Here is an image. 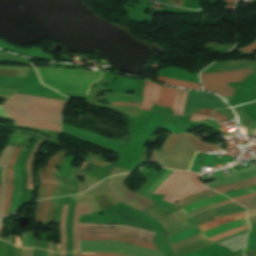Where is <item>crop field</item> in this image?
<instances>
[{"instance_id": "1", "label": "crop field", "mask_w": 256, "mask_h": 256, "mask_svg": "<svg viewBox=\"0 0 256 256\" xmlns=\"http://www.w3.org/2000/svg\"><path fill=\"white\" fill-rule=\"evenodd\" d=\"M67 102L15 94L0 109L14 124L60 131L59 116Z\"/></svg>"}, {"instance_id": "2", "label": "crop field", "mask_w": 256, "mask_h": 256, "mask_svg": "<svg viewBox=\"0 0 256 256\" xmlns=\"http://www.w3.org/2000/svg\"><path fill=\"white\" fill-rule=\"evenodd\" d=\"M42 83L56 91L88 94L104 73L34 66Z\"/></svg>"}, {"instance_id": "3", "label": "crop field", "mask_w": 256, "mask_h": 256, "mask_svg": "<svg viewBox=\"0 0 256 256\" xmlns=\"http://www.w3.org/2000/svg\"><path fill=\"white\" fill-rule=\"evenodd\" d=\"M199 176L192 172L175 171L152 194H166L163 200L174 204L189 195L208 190L198 178Z\"/></svg>"}, {"instance_id": "4", "label": "crop field", "mask_w": 256, "mask_h": 256, "mask_svg": "<svg viewBox=\"0 0 256 256\" xmlns=\"http://www.w3.org/2000/svg\"><path fill=\"white\" fill-rule=\"evenodd\" d=\"M254 71L250 69L229 71V72H217L206 73L201 75V79L205 90L213 91L221 96L232 95L234 89L227 83L242 81L243 77Z\"/></svg>"}, {"instance_id": "5", "label": "crop field", "mask_w": 256, "mask_h": 256, "mask_svg": "<svg viewBox=\"0 0 256 256\" xmlns=\"http://www.w3.org/2000/svg\"><path fill=\"white\" fill-rule=\"evenodd\" d=\"M80 244H114V245H120L144 252H148L154 255H159L162 256V254L158 251L150 250L147 248L123 243V242H115V241H80ZM79 252H99V253H118L124 256H154L151 254L123 248V247H118V246H113V245H80L79 247Z\"/></svg>"}, {"instance_id": "6", "label": "crop field", "mask_w": 256, "mask_h": 256, "mask_svg": "<svg viewBox=\"0 0 256 256\" xmlns=\"http://www.w3.org/2000/svg\"><path fill=\"white\" fill-rule=\"evenodd\" d=\"M79 236H116L153 244L152 236L125 229L79 228Z\"/></svg>"}, {"instance_id": "7", "label": "crop field", "mask_w": 256, "mask_h": 256, "mask_svg": "<svg viewBox=\"0 0 256 256\" xmlns=\"http://www.w3.org/2000/svg\"><path fill=\"white\" fill-rule=\"evenodd\" d=\"M190 107L199 108L200 114L209 116L217 108H228L223 101H198V92L194 91L188 92L184 115L189 114Z\"/></svg>"}, {"instance_id": "8", "label": "crop field", "mask_w": 256, "mask_h": 256, "mask_svg": "<svg viewBox=\"0 0 256 256\" xmlns=\"http://www.w3.org/2000/svg\"><path fill=\"white\" fill-rule=\"evenodd\" d=\"M225 199H228L224 196H222L221 194L219 195H216L214 197H211V198H208V199H204V200H201V201H197V202H194L184 208H182L186 213L188 212H191L197 208H200V207H203V206H206V205H209V204H213V203H216V202H219V201H222V200H225ZM228 202H232L231 199H228V200H225V201H222V202H219V203H216V204H213V205H210V206H206V207H203V208H200V209H197L191 213H188L190 216L198 213V212H202V211H205L209 208H212V207H216V206H219V205H222V204H225V203H228Z\"/></svg>"}, {"instance_id": "9", "label": "crop field", "mask_w": 256, "mask_h": 256, "mask_svg": "<svg viewBox=\"0 0 256 256\" xmlns=\"http://www.w3.org/2000/svg\"><path fill=\"white\" fill-rule=\"evenodd\" d=\"M160 86L145 81V87L143 91V102L141 104V109L143 110H150L153 102H158L159 93H160Z\"/></svg>"}, {"instance_id": "10", "label": "crop field", "mask_w": 256, "mask_h": 256, "mask_svg": "<svg viewBox=\"0 0 256 256\" xmlns=\"http://www.w3.org/2000/svg\"><path fill=\"white\" fill-rule=\"evenodd\" d=\"M79 222H92V223H125L134 225L136 227L144 228L147 230L153 231L152 228L143 225L138 222L130 221V220H124V219H117V218H110V217H98V216H91V214L88 215H82L80 216Z\"/></svg>"}, {"instance_id": "11", "label": "crop field", "mask_w": 256, "mask_h": 256, "mask_svg": "<svg viewBox=\"0 0 256 256\" xmlns=\"http://www.w3.org/2000/svg\"><path fill=\"white\" fill-rule=\"evenodd\" d=\"M21 148L16 150L15 153L12 155L9 166L7 169V190H6V204H5V213L4 216L9 215V206H10V201H11V196H12V189H13V178H12V172H13V167L15 160L20 152Z\"/></svg>"}, {"instance_id": "12", "label": "crop field", "mask_w": 256, "mask_h": 256, "mask_svg": "<svg viewBox=\"0 0 256 256\" xmlns=\"http://www.w3.org/2000/svg\"><path fill=\"white\" fill-rule=\"evenodd\" d=\"M15 151L14 148H11L3 162H2V165H1V188H0V218L3 217V212H4V203H5V189H6V168H7V164H8V161L11 157V155L13 154V152Z\"/></svg>"}, {"instance_id": "13", "label": "crop field", "mask_w": 256, "mask_h": 256, "mask_svg": "<svg viewBox=\"0 0 256 256\" xmlns=\"http://www.w3.org/2000/svg\"><path fill=\"white\" fill-rule=\"evenodd\" d=\"M24 151H25V149L22 148V150L17 158V161L15 163L14 172H18V163H19ZM13 177H14V190H13V196H12V201H11V206H10V215L14 213V211L16 210V207H17L19 182H20L19 173H14Z\"/></svg>"}, {"instance_id": "14", "label": "crop field", "mask_w": 256, "mask_h": 256, "mask_svg": "<svg viewBox=\"0 0 256 256\" xmlns=\"http://www.w3.org/2000/svg\"><path fill=\"white\" fill-rule=\"evenodd\" d=\"M245 213H246V211L240 212V213H237V214H233V215H230V216L218 218V219L212 220L210 222H207V223L202 224V225L197 226V227L203 232V231H206V230H208L212 227L219 226V225L225 224V223L233 221V220L246 218Z\"/></svg>"}, {"instance_id": "15", "label": "crop field", "mask_w": 256, "mask_h": 256, "mask_svg": "<svg viewBox=\"0 0 256 256\" xmlns=\"http://www.w3.org/2000/svg\"><path fill=\"white\" fill-rule=\"evenodd\" d=\"M76 195L72 196L66 220L67 252H72V219L75 208Z\"/></svg>"}, {"instance_id": "16", "label": "crop field", "mask_w": 256, "mask_h": 256, "mask_svg": "<svg viewBox=\"0 0 256 256\" xmlns=\"http://www.w3.org/2000/svg\"><path fill=\"white\" fill-rule=\"evenodd\" d=\"M247 224L248 223H247L246 219L237 220V221H234V222H231V223L219 226V227H217L215 229L206 231V232L203 233V235L207 239L209 237L215 236V235L220 234V233H222L224 231H227L229 229L240 227V226L247 225Z\"/></svg>"}, {"instance_id": "17", "label": "crop field", "mask_w": 256, "mask_h": 256, "mask_svg": "<svg viewBox=\"0 0 256 256\" xmlns=\"http://www.w3.org/2000/svg\"><path fill=\"white\" fill-rule=\"evenodd\" d=\"M39 140V138L36 139V142L27 150V152L25 153V155L22 158L21 164L19 166V169L21 171V183H20V192H19V200H18V207L22 206L23 203V198H24V192H25V182H26V174H25V162H26V158L29 154V152L31 151V149L33 148V146L37 143V141Z\"/></svg>"}, {"instance_id": "18", "label": "crop field", "mask_w": 256, "mask_h": 256, "mask_svg": "<svg viewBox=\"0 0 256 256\" xmlns=\"http://www.w3.org/2000/svg\"><path fill=\"white\" fill-rule=\"evenodd\" d=\"M188 91L176 90V94L173 101L172 110H175L176 115H183V109L185 104V99Z\"/></svg>"}, {"instance_id": "19", "label": "crop field", "mask_w": 256, "mask_h": 256, "mask_svg": "<svg viewBox=\"0 0 256 256\" xmlns=\"http://www.w3.org/2000/svg\"><path fill=\"white\" fill-rule=\"evenodd\" d=\"M174 92H175V88L162 86L158 105L170 108L171 103H172V99H173V96H174Z\"/></svg>"}, {"instance_id": "20", "label": "crop field", "mask_w": 256, "mask_h": 256, "mask_svg": "<svg viewBox=\"0 0 256 256\" xmlns=\"http://www.w3.org/2000/svg\"><path fill=\"white\" fill-rule=\"evenodd\" d=\"M60 151L55 154L54 156H52L46 166H45V177H46V180H47V185H46V195H45V198H48V197H51V193H52V180H51V177H50V169L51 167L53 166V164L55 163L58 155H59Z\"/></svg>"}, {"instance_id": "21", "label": "crop field", "mask_w": 256, "mask_h": 256, "mask_svg": "<svg viewBox=\"0 0 256 256\" xmlns=\"http://www.w3.org/2000/svg\"><path fill=\"white\" fill-rule=\"evenodd\" d=\"M254 184H256V177L245 180V181H241L238 183H233V184H229V185H225V186L216 187L212 190L222 193V192H226V191H230V190H234V189H238V188H242V187H246V186H250V185H254Z\"/></svg>"}, {"instance_id": "22", "label": "crop field", "mask_w": 256, "mask_h": 256, "mask_svg": "<svg viewBox=\"0 0 256 256\" xmlns=\"http://www.w3.org/2000/svg\"><path fill=\"white\" fill-rule=\"evenodd\" d=\"M178 137H183V138H187L189 139V142L198 150L205 152L206 150L198 147L197 145H195L191 139V134L189 133H183V134H178V135H174L171 133V135L168 137V139L163 143V145L160 147V149L162 150H169L170 147L173 145V143L176 141V139Z\"/></svg>"}, {"instance_id": "23", "label": "crop field", "mask_w": 256, "mask_h": 256, "mask_svg": "<svg viewBox=\"0 0 256 256\" xmlns=\"http://www.w3.org/2000/svg\"><path fill=\"white\" fill-rule=\"evenodd\" d=\"M43 140H39L38 143L34 146L33 150L31 151L27 163H26V173H27V188L32 189V181H33V176H32V160L33 157L38 150L39 146L42 144Z\"/></svg>"}, {"instance_id": "24", "label": "crop field", "mask_w": 256, "mask_h": 256, "mask_svg": "<svg viewBox=\"0 0 256 256\" xmlns=\"http://www.w3.org/2000/svg\"><path fill=\"white\" fill-rule=\"evenodd\" d=\"M255 188H256V185L250 186V187H246V188H242V189H238V190H234V191H230V192H226V193H222V194H225V195H227V196H230V195H234V194L246 192V191H248V190L255 189ZM253 192H256V189H255V190H251V191L246 192V193L238 194V195H235V196H230V197H231V198L240 197V196H244V195L251 194V193H253ZM252 196H256V193L251 194V195H248V196L240 197V198H235V199H233V200L236 201V200H240V199H244V198H248V197H252Z\"/></svg>"}, {"instance_id": "25", "label": "crop field", "mask_w": 256, "mask_h": 256, "mask_svg": "<svg viewBox=\"0 0 256 256\" xmlns=\"http://www.w3.org/2000/svg\"><path fill=\"white\" fill-rule=\"evenodd\" d=\"M79 227H117V228H125V229H129V230L141 232V233L152 235V236L154 235V232H150V231H146V230H142V229H138L135 227L126 226V225H101V224L79 223Z\"/></svg>"}, {"instance_id": "26", "label": "crop field", "mask_w": 256, "mask_h": 256, "mask_svg": "<svg viewBox=\"0 0 256 256\" xmlns=\"http://www.w3.org/2000/svg\"><path fill=\"white\" fill-rule=\"evenodd\" d=\"M107 239H111V240H115V241L128 242V243H132V244H136V245H139V246H143V247H147V248H150V249L157 250V248L155 246L148 245V244H143V243H139V242L123 239V238H116V237H80V240H107Z\"/></svg>"}, {"instance_id": "27", "label": "crop field", "mask_w": 256, "mask_h": 256, "mask_svg": "<svg viewBox=\"0 0 256 256\" xmlns=\"http://www.w3.org/2000/svg\"><path fill=\"white\" fill-rule=\"evenodd\" d=\"M156 80L164 82V83L176 85V86L201 89L200 85L197 84V83H191V82H185V81H180V80H174V79H169V78H164V77H159V76H157Z\"/></svg>"}, {"instance_id": "28", "label": "crop field", "mask_w": 256, "mask_h": 256, "mask_svg": "<svg viewBox=\"0 0 256 256\" xmlns=\"http://www.w3.org/2000/svg\"><path fill=\"white\" fill-rule=\"evenodd\" d=\"M248 228H249V225L244 226V227H240V228H237V229L229 230V231L224 232V233H222V234H220V235H217V236H215V237H212V238H210V239H208V240L216 241V240L225 238V237H227V236H230V235H232V234H234V233L247 230Z\"/></svg>"}, {"instance_id": "29", "label": "crop field", "mask_w": 256, "mask_h": 256, "mask_svg": "<svg viewBox=\"0 0 256 256\" xmlns=\"http://www.w3.org/2000/svg\"><path fill=\"white\" fill-rule=\"evenodd\" d=\"M236 202L247 207L248 210L256 208V197H252V198H248V199H244Z\"/></svg>"}, {"instance_id": "30", "label": "crop field", "mask_w": 256, "mask_h": 256, "mask_svg": "<svg viewBox=\"0 0 256 256\" xmlns=\"http://www.w3.org/2000/svg\"><path fill=\"white\" fill-rule=\"evenodd\" d=\"M213 175L215 176L216 180H217V179H221V178H225V175H224V173H223L221 170H220V171L213 172ZM229 179H233V177L230 176V177L225 178V179H221V180H217V181H214V182L207 183L206 185H207V186L213 185V184H216V183H218V182L226 181V180H229Z\"/></svg>"}, {"instance_id": "31", "label": "crop field", "mask_w": 256, "mask_h": 256, "mask_svg": "<svg viewBox=\"0 0 256 256\" xmlns=\"http://www.w3.org/2000/svg\"><path fill=\"white\" fill-rule=\"evenodd\" d=\"M40 177H41V184H40V190H39V199H43L45 195V177L43 169H39Z\"/></svg>"}, {"instance_id": "32", "label": "crop field", "mask_w": 256, "mask_h": 256, "mask_svg": "<svg viewBox=\"0 0 256 256\" xmlns=\"http://www.w3.org/2000/svg\"><path fill=\"white\" fill-rule=\"evenodd\" d=\"M49 200H50V199L45 200L44 206H43V210H42V219H41V222H42V224H44V225H46V223H47V211H48V207H49Z\"/></svg>"}, {"instance_id": "33", "label": "crop field", "mask_w": 256, "mask_h": 256, "mask_svg": "<svg viewBox=\"0 0 256 256\" xmlns=\"http://www.w3.org/2000/svg\"><path fill=\"white\" fill-rule=\"evenodd\" d=\"M52 180H53V193H52V197L58 196V190H59V185H58V180H57V176L55 174H52Z\"/></svg>"}, {"instance_id": "34", "label": "crop field", "mask_w": 256, "mask_h": 256, "mask_svg": "<svg viewBox=\"0 0 256 256\" xmlns=\"http://www.w3.org/2000/svg\"><path fill=\"white\" fill-rule=\"evenodd\" d=\"M56 200H57V198H54V199H52V202L50 201L51 202V207H50V211H49L48 225L53 223V215H54Z\"/></svg>"}, {"instance_id": "35", "label": "crop field", "mask_w": 256, "mask_h": 256, "mask_svg": "<svg viewBox=\"0 0 256 256\" xmlns=\"http://www.w3.org/2000/svg\"><path fill=\"white\" fill-rule=\"evenodd\" d=\"M192 138H193L195 144H197V145H199V146H201V147H203V148H205V149L219 150L218 148H216V147L213 146V145H208V144H206V143L201 142L200 140H198V139L195 138L194 136H192Z\"/></svg>"}, {"instance_id": "36", "label": "crop field", "mask_w": 256, "mask_h": 256, "mask_svg": "<svg viewBox=\"0 0 256 256\" xmlns=\"http://www.w3.org/2000/svg\"><path fill=\"white\" fill-rule=\"evenodd\" d=\"M239 50H241V51H243L247 54H250V53L256 51V41L254 43L246 46V47H243V48L239 49Z\"/></svg>"}, {"instance_id": "37", "label": "crop field", "mask_w": 256, "mask_h": 256, "mask_svg": "<svg viewBox=\"0 0 256 256\" xmlns=\"http://www.w3.org/2000/svg\"><path fill=\"white\" fill-rule=\"evenodd\" d=\"M44 200L38 202L37 209H36V223L39 224L41 218V210L43 206Z\"/></svg>"}, {"instance_id": "38", "label": "crop field", "mask_w": 256, "mask_h": 256, "mask_svg": "<svg viewBox=\"0 0 256 256\" xmlns=\"http://www.w3.org/2000/svg\"><path fill=\"white\" fill-rule=\"evenodd\" d=\"M78 256H121L118 254H92V253H78Z\"/></svg>"}, {"instance_id": "39", "label": "crop field", "mask_w": 256, "mask_h": 256, "mask_svg": "<svg viewBox=\"0 0 256 256\" xmlns=\"http://www.w3.org/2000/svg\"><path fill=\"white\" fill-rule=\"evenodd\" d=\"M66 153H67L66 151L62 150V152H61V154H60V156H59L57 162L55 163L54 167L60 165V163L62 162V160H63V158L65 157Z\"/></svg>"}, {"instance_id": "40", "label": "crop field", "mask_w": 256, "mask_h": 256, "mask_svg": "<svg viewBox=\"0 0 256 256\" xmlns=\"http://www.w3.org/2000/svg\"><path fill=\"white\" fill-rule=\"evenodd\" d=\"M22 247H27V232H22Z\"/></svg>"}, {"instance_id": "41", "label": "crop field", "mask_w": 256, "mask_h": 256, "mask_svg": "<svg viewBox=\"0 0 256 256\" xmlns=\"http://www.w3.org/2000/svg\"><path fill=\"white\" fill-rule=\"evenodd\" d=\"M209 117H204V116H195V115H192L191 119L192 121H196V120H205V119H208Z\"/></svg>"}, {"instance_id": "42", "label": "crop field", "mask_w": 256, "mask_h": 256, "mask_svg": "<svg viewBox=\"0 0 256 256\" xmlns=\"http://www.w3.org/2000/svg\"><path fill=\"white\" fill-rule=\"evenodd\" d=\"M71 190H72V194L77 193L76 181L71 180Z\"/></svg>"}, {"instance_id": "43", "label": "crop field", "mask_w": 256, "mask_h": 256, "mask_svg": "<svg viewBox=\"0 0 256 256\" xmlns=\"http://www.w3.org/2000/svg\"><path fill=\"white\" fill-rule=\"evenodd\" d=\"M213 117H215V118H217V119H219V120H221V121H223V120H226V119H227V118H225V117H223V116H221V115H219V114H217V113H215V112H214Z\"/></svg>"}, {"instance_id": "44", "label": "crop field", "mask_w": 256, "mask_h": 256, "mask_svg": "<svg viewBox=\"0 0 256 256\" xmlns=\"http://www.w3.org/2000/svg\"><path fill=\"white\" fill-rule=\"evenodd\" d=\"M9 149H10V147L7 146V148L4 150V152H3L2 155L0 156V164H1V162H2V160H3V158H4V156H5L6 152H7Z\"/></svg>"}, {"instance_id": "45", "label": "crop field", "mask_w": 256, "mask_h": 256, "mask_svg": "<svg viewBox=\"0 0 256 256\" xmlns=\"http://www.w3.org/2000/svg\"><path fill=\"white\" fill-rule=\"evenodd\" d=\"M114 105H133V106H139L140 104H134V103H113Z\"/></svg>"}, {"instance_id": "46", "label": "crop field", "mask_w": 256, "mask_h": 256, "mask_svg": "<svg viewBox=\"0 0 256 256\" xmlns=\"http://www.w3.org/2000/svg\"><path fill=\"white\" fill-rule=\"evenodd\" d=\"M16 246H21L20 238L16 236Z\"/></svg>"}, {"instance_id": "47", "label": "crop field", "mask_w": 256, "mask_h": 256, "mask_svg": "<svg viewBox=\"0 0 256 256\" xmlns=\"http://www.w3.org/2000/svg\"><path fill=\"white\" fill-rule=\"evenodd\" d=\"M224 2H227V3H231V4H233V2L235 1V0H223Z\"/></svg>"}, {"instance_id": "48", "label": "crop field", "mask_w": 256, "mask_h": 256, "mask_svg": "<svg viewBox=\"0 0 256 256\" xmlns=\"http://www.w3.org/2000/svg\"><path fill=\"white\" fill-rule=\"evenodd\" d=\"M2 225H3V221L1 220L0 221V234H1V231H2Z\"/></svg>"}, {"instance_id": "49", "label": "crop field", "mask_w": 256, "mask_h": 256, "mask_svg": "<svg viewBox=\"0 0 256 256\" xmlns=\"http://www.w3.org/2000/svg\"><path fill=\"white\" fill-rule=\"evenodd\" d=\"M67 256H72V253H67Z\"/></svg>"}]
</instances>
